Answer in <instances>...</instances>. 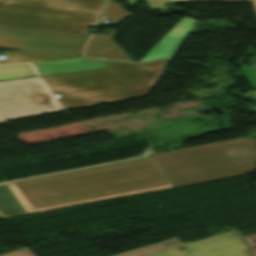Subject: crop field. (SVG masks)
<instances>
[{"label": "crop field", "instance_id": "34b2d1b8", "mask_svg": "<svg viewBox=\"0 0 256 256\" xmlns=\"http://www.w3.org/2000/svg\"><path fill=\"white\" fill-rule=\"evenodd\" d=\"M171 59L139 65L108 62V69L43 76L65 110L146 97Z\"/></svg>", "mask_w": 256, "mask_h": 256}, {"label": "crop field", "instance_id": "5142ce71", "mask_svg": "<svg viewBox=\"0 0 256 256\" xmlns=\"http://www.w3.org/2000/svg\"><path fill=\"white\" fill-rule=\"evenodd\" d=\"M140 0H128V4L133 5L137 3ZM148 3V5L152 8L153 11L158 10V9H174L181 11L183 9L179 8H172V7H166L163 4L167 1H174V2H188V1H193V0H144ZM245 1H256V0H245Z\"/></svg>", "mask_w": 256, "mask_h": 256}, {"label": "crop field", "instance_id": "bc2a9ffb", "mask_svg": "<svg viewBox=\"0 0 256 256\" xmlns=\"http://www.w3.org/2000/svg\"><path fill=\"white\" fill-rule=\"evenodd\" d=\"M252 5H253V7H254V9L256 11V2H252Z\"/></svg>", "mask_w": 256, "mask_h": 256}, {"label": "crop field", "instance_id": "4a817a6b", "mask_svg": "<svg viewBox=\"0 0 256 256\" xmlns=\"http://www.w3.org/2000/svg\"><path fill=\"white\" fill-rule=\"evenodd\" d=\"M248 62H250V63L256 65V56L253 57V58H251Z\"/></svg>", "mask_w": 256, "mask_h": 256}, {"label": "crop field", "instance_id": "e52e79f7", "mask_svg": "<svg viewBox=\"0 0 256 256\" xmlns=\"http://www.w3.org/2000/svg\"><path fill=\"white\" fill-rule=\"evenodd\" d=\"M196 21L185 16L141 61L173 57Z\"/></svg>", "mask_w": 256, "mask_h": 256}, {"label": "crop field", "instance_id": "28ad6ade", "mask_svg": "<svg viewBox=\"0 0 256 256\" xmlns=\"http://www.w3.org/2000/svg\"><path fill=\"white\" fill-rule=\"evenodd\" d=\"M170 243H172L170 246H164V245L170 244ZM181 244H182L181 241L178 239V237H176L173 239H169V240H166V241H163L160 243H156V244H153V245H150L147 247H143V248L133 250L130 252H126L123 254H119L116 256H144V255H147L150 253L161 251V250L171 248V247L181 245ZM0 256H35V255L33 253H31L27 248H25V249L13 251V252H10L7 254H3Z\"/></svg>", "mask_w": 256, "mask_h": 256}, {"label": "crop field", "instance_id": "3316defc", "mask_svg": "<svg viewBox=\"0 0 256 256\" xmlns=\"http://www.w3.org/2000/svg\"><path fill=\"white\" fill-rule=\"evenodd\" d=\"M242 145L225 148L224 150L237 161L249 174L256 172V140L253 137L241 138Z\"/></svg>", "mask_w": 256, "mask_h": 256}, {"label": "crop field", "instance_id": "d1516ede", "mask_svg": "<svg viewBox=\"0 0 256 256\" xmlns=\"http://www.w3.org/2000/svg\"><path fill=\"white\" fill-rule=\"evenodd\" d=\"M5 56H6V60H1L0 65L76 58V57L58 56V55H50V54L23 52V51L5 52Z\"/></svg>", "mask_w": 256, "mask_h": 256}, {"label": "crop field", "instance_id": "214f88e0", "mask_svg": "<svg viewBox=\"0 0 256 256\" xmlns=\"http://www.w3.org/2000/svg\"><path fill=\"white\" fill-rule=\"evenodd\" d=\"M256 135V133H254Z\"/></svg>", "mask_w": 256, "mask_h": 256}, {"label": "crop field", "instance_id": "733c2abd", "mask_svg": "<svg viewBox=\"0 0 256 256\" xmlns=\"http://www.w3.org/2000/svg\"><path fill=\"white\" fill-rule=\"evenodd\" d=\"M252 73H253V74H254V76L256 77V70H254ZM248 94H250V95H252V96L256 97V91L249 92ZM255 109H256V107H255Z\"/></svg>", "mask_w": 256, "mask_h": 256}, {"label": "crop field", "instance_id": "22f410ed", "mask_svg": "<svg viewBox=\"0 0 256 256\" xmlns=\"http://www.w3.org/2000/svg\"><path fill=\"white\" fill-rule=\"evenodd\" d=\"M36 75L29 64L0 66V80Z\"/></svg>", "mask_w": 256, "mask_h": 256}, {"label": "crop field", "instance_id": "5a996713", "mask_svg": "<svg viewBox=\"0 0 256 256\" xmlns=\"http://www.w3.org/2000/svg\"><path fill=\"white\" fill-rule=\"evenodd\" d=\"M39 75L62 73L94 68L106 67V61L92 59H76L64 61H52L32 64Z\"/></svg>", "mask_w": 256, "mask_h": 256}, {"label": "crop field", "instance_id": "f4fd0767", "mask_svg": "<svg viewBox=\"0 0 256 256\" xmlns=\"http://www.w3.org/2000/svg\"><path fill=\"white\" fill-rule=\"evenodd\" d=\"M60 110L38 77L0 82V120Z\"/></svg>", "mask_w": 256, "mask_h": 256}, {"label": "crop field", "instance_id": "dd49c442", "mask_svg": "<svg viewBox=\"0 0 256 256\" xmlns=\"http://www.w3.org/2000/svg\"><path fill=\"white\" fill-rule=\"evenodd\" d=\"M180 248L186 250L180 252L177 250ZM250 248L246 240L235 230L147 256H252Z\"/></svg>", "mask_w": 256, "mask_h": 256}, {"label": "crop field", "instance_id": "ac0d7876", "mask_svg": "<svg viewBox=\"0 0 256 256\" xmlns=\"http://www.w3.org/2000/svg\"><path fill=\"white\" fill-rule=\"evenodd\" d=\"M104 0H0V48L80 56Z\"/></svg>", "mask_w": 256, "mask_h": 256}, {"label": "crop field", "instance_id": "cbeb9de0", "mask_svg": "<svg viewBox=\"0 0 256 256\" xmlns=\"http://www.w3.org/2000/svg\"><path fill=\"white\" fill-rule=\"evenodd\" d=\"M102 15L109 17L112 22H121L126 17L132 16L131 13L115 0H108V4Z\"/></svg>", "mask_w": 256, "mask_h": 256}, {"label": "crop field", "instance_id": "8a807250", "mask_svg": "<svg viewBox=\"0 0 256 256\" xmlns=\"http://www.w3.org/2000/svg\"><path fill=\"white\" fill-rule=\"evenodd\" d=\"M152 159L140 158L0 184V217L172 188Z\"/></svg>", "mask_w": 256, "mask_h": 256}, {"label": "crop field", "instance_id": "d9b57169", "mask_svg": "<svg viewBox=\"0 0 256 256\" xmlns=\"http://www.w3.org/2000/svg\"><path fill=\"white\" fill-rule=\"evenodd\" d=\"M241 69L244 71L243 74H249L251 76L250 78H248V80H250L251 84L256 86V78L251 73V71L256 69V67H254V66H243ZM243 74H240V75H243Z\"/></svg>", "mask_w": 256, "mask_h": 256}, {"label": "crop field", "instance_id": "412701ff", "mask_svg": "<svg viewBox=\"0 0 256 256\" xmlns=\"http://www.w3.org/2000/svg\"><path fill=\"white\" fill-rule=\"evenodd\" d=\"M240 139L151 155L173 185L181 187L247 175L222 148L242 144Z\"/></svg>", "mask_w": 256, "mask_h": 256}, {"label": "crop field", "instance_id": "d8731c3e", "mask_svg": "<svg viewBox=\"0 0 256 256\" xmlns=\"http://www.w3.org/2000/svg\"><path fill=\"white\" fill-rule=\"evenodd\" d=\"M110 35H94L84 53L85 56L132 61L112 40L118 30H110Z\"/></svg>", "mask_w": 256, "mask_h": 256}]
</instances>
